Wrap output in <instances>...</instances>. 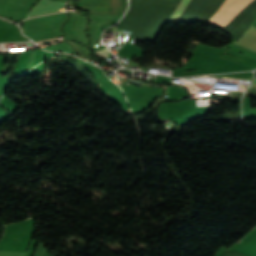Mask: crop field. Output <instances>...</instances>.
<instances>
[{
	"instance_id": "34b2d1b8",
	"label": "crop field",
	"mask_w": 256,
	"mask_h": 256,
	"mask_svg": "<svg viewBox=\"0 0 256 256\" xmlns=\"http://www.w3.org/2000/svg\"><path fill=\"white\" fill-rule=\"evenodd\" d=\"M189 2L190 0H183L181 4L178 6V8L176 9L175 13L169 19V22H175Z\"/></svg>"
},
{
	"instance_id": "8a807250",
	"label": "crop field",
	"mask_w": 256,
	"mask_h": 256,
	"mask_svg": "<svg viewBox=\"0 0 256 256\" xmlns=\"http://www.w3.org/2000/svg\"><path fill=\"white\" fill-rule=\"evenodd\" d=\"M240 0H226L223 5L218 9L215 15L208 22L215 25L228 11H230ZM252 0H241L229 13H227L218 23L224 27L227 25L247 4Z\"/></svg>"
},
{
	"instance_id": "ac0d7876",
	"label": "crop field",
	"mask_w": 256,
	"mask_h": 256,
	"mask_svg": "<svg viewBox=\"0 0 256 256\" xmlns=\"http://www.w3.org/2000/svg\"><path fill=\"white\" fill-rule=\"evenodd\" d=\"M239 252L248 256H256V238L244 246Z\"/></svg>"
}]
</instances>
